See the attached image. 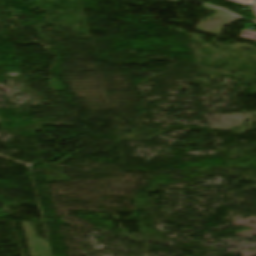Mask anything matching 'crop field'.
I'll return each instance as SVG.
<instances>
[{
  "label": "crop field",
  "instance_id": "crop-field-1",
  "mask_svg": "<svg viewBox=\"0 0 256 256\" xmlns=\"http://www.w3.org/2000/svg\"><path fill=\"white\" fill-rule=\"evenodd\" d=\"M241 37L256 41V32L250 30H242Z\"/></svg>",
  "mask_w": 256,
  "mask_h": 256
},
{
  "label": "crop field",
  "instance_id": "crop-field-3",
  "mask_svg": "<svg viewBox=\"0 0 256 256\" xmlns=\"http://www.w3.org/2000/svg\"><path fill=\"white\" fill-rule=\"evenodd\" d=\"M253 7L256 8V1H255V3H254Z\"/></svg>",
  "mask_w": 256,
  "mask_h": 256
},
{
  "label": "crop field",
  "instance_id": "crop-field-2",
  "mask_svg": "<svg viewBox=\"0 0 256 256\" xmlns=\"http://www.w3.org/2000/svg\"><path fill=\"white\" fill-rule=\"evenodd\" d=\"M227 2H231V3H236V4H241V5H248V6H252L254 0H225Z\"/></svg>",
  "mask_w": 256,
  "mask_h": 256
},
{
  "label": "crop field",
  "instance_id": "crop-field-4",
  "mask_svg": "<svg viewBox=\"0 0 256 256\" xmlns=\"http://www.w3.org/2000/svg\"><path fill=\"white\" fill-rule=\"evenodd\" d=\"M253 10H254V12H255V14H256V9L253 8Z\"/></svg>",
  "mask_w": 256,
  "mask_h": 256
}]
</instances>
